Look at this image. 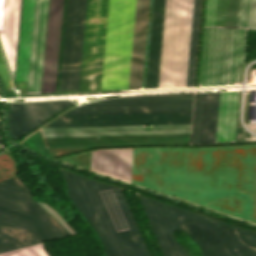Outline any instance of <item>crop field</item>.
Wrapping results in <instances>:
<instances>
[{
  "instance_id": "8a807250",
  "label": "crop field",
  "mask_w": 256,
  "mask_h": 256,
  "mask_svg": "<svg viewBox=\"0 0 256 256\" xmlns=\"http://www.w3.org/2000/svg\"><path fill=\"white\" fill-rule=\"evenodd\" d=\"M132 154L93 150L91 170L130 183ZM131 183L256 224V144L134 148Z\"/></svg>"
},
{
  "instance_id": "ac0d7876",
  "label": "crop field",
  "mask_w": 256,
  "mask_h": 256,
  "mask_svg": "<svg viewBox=\"0 0 256 256\" xmlns=\"http://www.w3.org/2000/svg\"><path fill=\"white\" fill-rule=\"evenodd\" d=\"M137 196L163 256H189L176 241L175 229L186 232L202 256H256L255 232L149 197Z\"/></svg>"
},
{
  "instance_id": "34b2d1b8",
  "label": "crop field",
  "mask_w": 256,
  "mask_h": 256,
  "mask_svg": "<svg viewBox=\"0 0 256 256\" xmlns=\"http://www.w3.org/2000/svg\"><path fill=\"white\" fill-rule=\"evenodd\" d=\"M237 0H207L204 30H234ZM256 0H238L235 31H204L199 86L237 83Z\"/></svg>"
},
{
  "instance_id": "412701ff",
  "label": "crop field",
  "mask_w": 256,
  "mask_h": 256,
  "mask_svg": "<svg viewBox=\"0 0 256 256\" xmlns=\"http://www.w3.org/2000/svg\"><path fill=\"white\" fill-rule=\"evenodd\" d=\"M62 173L67 194L101 239L105 256H150L119 187Z\"/></svg>"
},
{
  "instance_id": "f4fd0767",
  "label": "crop field",
  "mask_w": 256,
  "mask_h": 256,
  "mask_svg": "<svg viewBox=\"0 0 256 256\" xmlns=\"http://www.w3.org/2000/svg\"><path fill=\"white\" fill-rule=\"evenodd\" d=\"M37 202V201H36ZM19 179L0 182V253L78 235L51 207L36 203ZM0 256H48L42 243L8 251Z\"/></svg>"
},
{
  "instance_id": "dd49c442",
  "label": "crop field",
  "mask_w": 256,
  "mask_h": 256,
  "mask_svg": "<svg viewBox=\"0 0 256 256\" xmlns=\"http://www.w3.org/2000/svg\"><path fill=\"white\" fill-rule=\"evenodd\" d=\"M48 146L189 143L190 125L43 128Z\"/></svg>"
},
{
  "instance_id": "e52e79f7",
  "label": "crop field",
  "mask_w": 256,
  "mask_h": 256,
  "mask_svg": "<svg viewBox=\"0 0 256 256\" xmlns=\"http://www.w3.org/2000/svg\"><path fill=\"white\" fill-rule=\"evenodd\" d=\"M193 0H167L158 89L185 87Z\"/></svg>"
},
{
  "instance_id": "d8731c3e",
  "label": "crop field",
  "mask_w": 256,
  "mask_h": 256,
  "mask_svg": "<svg viewBox=\"0 0 256 256\" xmlns=\"http://www.w3.org/2000/svg\"><path fill=\"white\" fill-rule=\"evenodd\" d=\"M108 0H88L79 89L100 90Z\"/></svg>"
},
{
  "instance_id": "5a996713",
  "label": "crop field",
  "mask_w": 256,
  "mask_h": 256,
  "mask_svg": "<svg viewBox=\"0 0 256 256\" xmlns=\"http://www.w3.org/2000/svg\"><path fill=\"white\" fill-rule=\"evenodd\" d=\"M87 0H67L58 92L78 90Z\"/></svg>"
},
{
  "instance_id": "3316defc",
  "label": "crop field",
  "mask_w": 256,
  "mask_h": 256,
  "mask_svg": "<svg viewBox=\"0 0 256 256\" xmlns=\"http://www.w3.org/2000/svg\"><path fill=\"white\" fill-rule=\"evenodd\" d=\"M193 94L132 96L82 105L63 114L192 112Z\"/></svg>"
},
{
  "instance_id": "28ad6ade",
  "label": "crop field",
  "mask_w": 256,
  "mask_h": 256,
  "mask_svg": "<svg viewBox=\"0 0 256 256\" xmlns=\"http://www.w3.org/2000/svg\"><path fill=\"white\" fill-rule=\"evenodd\" d=\"M192 113L60 115L45 127L190 124Z\"/></svg>"
},
{
  "instance_id": "d1516ede",
  "label": "crop field",
  "mask_w": 256,
  "mask_h": 256,
  "mask_svg": "<svg viewBox=\"0 0 256 256\" xmlns=\"http://www.w3.org/2000/svg\"><path fill=\"white\" fill-rule=\"evenodd\" d=\"M72 104L74 103L69 100L36 103L8 102L10 135L16 140Z\"/></svg>"
},
{
  "instance_id": "22f410ed",
  "label": "crop field",
  "mask_w": 256,
  "mask_h": 256,
  "mask_svg": "<svg viewBox=\"0 0 256 256\" xmlns=\"http://www.w3.org/2000/svg\"><path fill=\"white\" fill-rule=\"evenodd\" d=\"M63 0H49L41 93L55 92Z\"/></svg>"
},
{
  "instance_id": "cbeb9de0",
  "label": "crop field",
  "mask_w": 256,
  "mask_h": 256,
  "mask_svg": "<svg viewBox=\"0 0 256 256\" xmlns=\"http://www.w3.org/2000/svg\"><path fill=\"white\" fill-rule=\"evenodd\" d=\"M48 0H36L30 75L27 94L40 93Z\"/></svg>"
},
{
  "instance_id": "5142ce71",
  "label": "crop field",
  "mask_w": 256,
  "mask_h": 256,
  "mask_svg": "<svg viewBox=\"0 0 256 256\" xmlns=\"http://www.w3.org/2000/svg\"><path fill=\"white\" fill-rule=\"evenodd\" d=\"M219 92L196 94L191 143L214 142Z\"/></svg>"
},
{
  "instance_id": "d9b57169",
  "label": "crop field",
  "mask_w": 256,
  "mask_h": 256,
  "mask_svg": "<svg viewBox=\"0 0 256 256\" xmlns=\"http://www.w3.org/2000/svg\"><path fill=\"white\" fill-rule=\"evenodd\" d=\"M165 0H153L144 89L157 88Z\"/></svg>"
},
{
  "instance_id": "733c2abd",
  "label": "crop field",
  "mask_w": 256,
  "mask_h": 256,
  "mask_svg": "<svg viewBox=\"0 0 256 256\" xmlns=\"http://www.w3.org/2000/svg\"><path fill=\"white\" fill-rule=\"evenodd\" d=\"M149 0H137L129 90L141 89Z\"/></svg>"
},
{
  "instance_id": "4a817a6b",
  "label": "crop field",
  "mask_w": 256,
  "mask_h": 256,
  "mask_svg": "<svg viewBox=\"0 0 256 256\" xmlns=\"http://www.w3.org/2000/svg\"><path fill=\"white\" fill-rule=\"evenodd\" d=\"M21 0H0V37L15 72Z\"/></svg>"
},
{
  "instance_id": "bc2a9ffb",
  "label": "crop field",
  "mask_w": 256,
  "mask_h": 256,
  "mask_svg": "<svg viewBox=\"0 0 256 256\" xmlns=\"http://www.w3.org/2000/svg\"><path fill=\"white\" fill-rule=\"evenodd\" d=\"M35 0H22L15 79H28Z\"/></svg>"
},
{
  "instance_id": "214f88e0",
  "label": "crop field",
  "mask_w": 256,
  "mask_h": 256,
  "mask_svg": "<svg viewBox=\"0 0 256 256\" xmlns=\"http://www.w3.org/2000/svg\"><path fill=\"white\" fill-rule=\"evenodd\" d=\"M238 111V91L220 92L215 142L234 141Z\"/></svg>"
},
{
  "instance_id": "92a150f3",
  "label": "crop field",
  "mask_w": 256,
  "mask_h": 256,
  "mask_svg": "<svg viewBox=\"0 0 256 256\" xmlns=\"http://www.w3.org/2000/svg\"><path fill=\"white\" fill-rule=\"evenodd\" d=\"M201 0H194L186 86H193Z\"/></svg>"
},
{
  "instance_id": "dafd665d",
  "label": "crop field",
  "mask_w": 256,
  "mask_h": 256,
  "mask_svg": "<svg viewBox=\"0 0 256 256\" xmlns=\"http://www.w3.org/2000/svg\"><path fill=\"white\" fill-rule=\"evenodd\" d=\"M0 77L2 78L6 88L13 87L1 51H0Z\"/></svg>"
},
{
  "instance_id": "00972430",
  "label": "crop field",
  "mask_w": 256,
  "mask_h": 256,
  "mask_svg": "<svg viewBox=\"0 0 256 256\" xmlns=\"http://www.w3.org/2000/svg\"><path fill=\"white\" fill-rule=\"evenodd\" d=\"M248 129L252 132L256 133V125L255 124H247Z\"/></svg>"
}]
</instances>
